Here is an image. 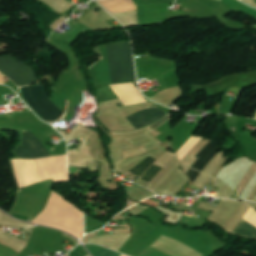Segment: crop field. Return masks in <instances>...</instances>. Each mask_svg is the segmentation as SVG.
Returning <instances> with one entry per match:
<instances>
[{"label":"crop field","mask_w":256,"mask_h":256,"mask_svg":"<svg viewBox=\"0 0 256 256\" xmlns=\"http://www.w3.org/2000/svg\"><path fill=\"white\" fill-rule=\"evenodd\" d=\"M26 102L43 118L57 120L62 112L48 98L44 85L21 87Z\"/></svg>","instance_id":"3"},{"label":"crop field","mask_w":256,"mask_h":256,"mask_svg":"<svg viewBox=\"0 0 256 256\" xmlns=\"http://www.w3.org/2000/svg\"><path fill=\"white\" fill-rule=\"evenodd\" d=\"M218 150V147L214 144L213 141L210 140L196 155V157H198L199 159L195 162L192 168L201 171L205 167V165L216 155ZM203 160H205V162Z\"/></svg>","instance_id":"9"},{"label":"crop field","mask_w":256,"mask_h":256,"mask_svg":"<svg viewBox=\"0 0 256 256\" xmlns=\"http://www.w3.org/2000/svg\"><path fill=\"white\" fill-rule=\"evenodd\" d=\"M166 115L155 105H150L128 117L126 119L136 128H141L152 124Z\"/></svg>","instance_id":"7"},{"label":"crop field","mask_w":256,"mask_h":256,"mask_svg":"<svg viewBox=\"0 0 256 256\" xmlns=\"http://www.w3.org/2000/svg\"><path fill=\"white\" fill-rule=\"evenodd\" d=\"M155 161V159L149 157L143 162H141L139 165H137L135 168H133L130 172L138 175L141 177V175L146 171V169Z\"/></svg>","instance_id":"11"},{"label":"crop field","mask_w":256,"mask_h":256,"mask_svg":"<svg viewBox=\"0 0 256 256\" xmlns=\"http://www.w3.org/2000/svg\"><path fill=\"white\" fill-rule=\"evenodd\" d=\"M19 188L40 182L34 160H12Z\"/></svg>","instance_id":"5"},{"label":"crop field","mask_w":256,"mask_h":256,"mask_svg":"<svg viewBox=\"0 0 256 256\" xmlns=\"http://www.w3.org/2000/svg\"><path fill=\"white\" fill-rule=\"evenodd\" d=\"M31 222L65 230L77 238L83 235V211L54 191L45 209Z\"/></svg>","instance_id":"1"},{"label":"crop field","mask_w":256,"mask_h":256,"mask_svg":"<svg viewBox=\"0 0 256 256\" xmlns=\"http://www.w3.org/2000/svg\"><path fill=\"white\" fill-rule=\"evenodd\" d=\"M111 83L136 81L130 41L107 44Z\"/></svg>","instance_id":"2"},{"label":"crop field","mask_w":256,"mask_h":256,"mask_svg":"<svg viewBox=\"0 0 256 256\" xmlns=\"http://www.w3.org/2000/svg\"><path fill=\"white\" fill-rule=\"evenodd\" d=\"M201 140V138L197 137H190V139L187 141V143L179 149L176 154L181 161L182 158Z\"/></svg>","instance_id":"10"},{"label":"crop field","mask_w":256,"mask_h":256,"mask_svg":"<svg viewBox=\"0 0 256 256\" xmlns=\"http://www.w3.org/2000/svg\"><path fill=\"white\" fill-rule=\"evenodd\" d=\"M244 221L248 222L249 224L256 227V212L253 208L250 207L248 212L243 217ZM240 221L236 228L233 230L232 234L256 239V228L252 227L251 225Z\"/></svg>","instance_id":"8"},{"label":"crop field","mask_w":256,"mask_h":256,"mask_svg":"<svg viewBox=\"0 0 256 256\" xmlns=\"http://www.w3.org/2000/svg\"><path fill=\"white\" fill-rule=\"evenodd\" d=\"M120 256H123V255H120Z\"/></svg>","instance_id":"16"},{"label":"crop field","mask_w":256,"mask_h":256,"mask_svg":"<svg viewBox=\"0 0 256 256\" xmlns=\"http://www.w3.org/2000/svg\"><path fill=\"white\" fill-rule=\"evenodd\" d=\"M198 174H199V172H197V171H195V170H193V169H191V168H190V169L187 171V173H186L188 179H189L191 182L194 181L195 177H196Z\"/></svg>","instance_id":"13"},{"label":"crop field","mask_w":256,"mask_h":256,"mask_svg":"<svg viewBox=\"0 0 256 256\" xmlns=\"http://www.w3.org/2000/svg\"><path fill=\"white\" fill-rule=\"evenodd\" d=\"M172 115H167L165 118H163L162 120L158 121L157 123H155L154 125H152L151 127L153 128H158L159 126H161L163 123H165L167 120L171 119Z\"/></svg>","instance_id":"14"},{"label":"crop field","mask_w":256,"mask_h":256,"mask_svg":"<svg viewBox=\"0 0 256 256\" xmlns=\"http://www.w3.org/2000/svg\"><path fill=\"white\" fill-rule=\"evenodd\" d=\"M0 70L18 86L40 82L34 67L19 61L12 55L0 57Z\"/></svg>","instance_id":"4"},{"label":"crop field","mask_w":256,"mask_h":256,"mask_svg":"<svg viewBox=\"0 0 256 256\" xmlns=\"http://www.w3.org/2000/svg\"><path fill=\"white\" fill-rule=\"evenodd\" d=\"M119 255H120V253L107 250L106 252L102 253L99 256H119Z\"/></svg>","instance_id":"15"},{"label":"crop field","mask_w":256,"mask_h":256,"mask_svg":"<svg viewBox=\"0 0 256 256\" xmlns=\"http://www.w3.org/2000/svg\"><path fill=\"white\" fill-rule=\"evenodd\" d=\"M20 158H41L49 152L29 133H23L22 145L14 151Z\"/></svg>","instance_id":"6"},{"label":"crop field","mask_w":256,"mask_h":256,"mask_svg":"<svg viewBox=\"0 0 256 256\" xmlns=\"http://www.w3.org/2000/svg\"><path fill=\"white\" fill-rule=\"evenodd\" d=\"M160 169V167L152 165L150 169L144 174L142 179L150 181L158 173Z\"/></svg>","instance_id":"12"}]
</instances>
